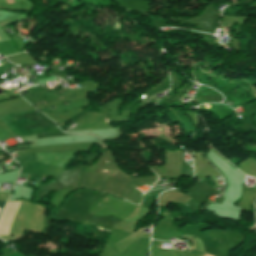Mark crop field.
<instances>
[{
  "label": "crop field",
  "instance_id": "8a807250",
  "mask_svg": "<svg viewBox=\"0 0 256 256\" xmlns=\"http://www.w3.org/2000/svg\"><path fill=\"white\" fill-rule=\"evenodd\" d=\"M4 205H5V202H1V201H0V209H1V210L3 209Z\"/></svg>",
  "mask_w": 256,
  "mask_h": 256
}]
</instances>
